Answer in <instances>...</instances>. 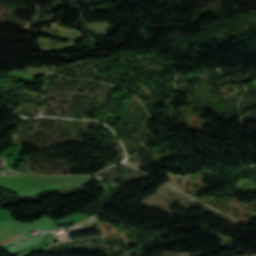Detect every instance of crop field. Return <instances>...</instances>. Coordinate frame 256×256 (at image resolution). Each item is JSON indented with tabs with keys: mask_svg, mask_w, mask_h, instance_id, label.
<instances>
[{
	"mask_svg": "<svg viewBox=\"0 0 256 256\" xmlns=\"http://www.w3.org/2000/svg\"><path fill=\"white\" fill-rule=\"evenodd\" d=\"M16 236H18V234H14V235H12V236H10L9 238H7V239H5V240H3V241H1L0 242V245L1 244H3V243H6V242H8V241H10L12 238H14V237H16ZM22 236V235H21ZM28 238V237H27ZM26 239V238H25ZM24 240V239H23ZM22 241V240H21ZM20 242V241H19Z\"/></svg>",
	"mask_w": 256,
	"mask_h": 256,
	"instance_id": "obj_1",
	"label": "crop field"
}]
</instances>
